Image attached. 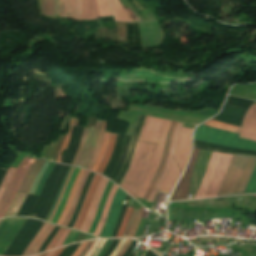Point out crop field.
<instances>
[{"instance_id":"733c2abd","label":"crop field","mask_w":256,"mask_h":256,"mask_svg":"<svg viewBox=\"0 0 256 256\" xmlns=\"http://www.w3.org/2000/svg\"><path fill=\"white\" fill-rule=\"evenodd\" d=\"M97 16V5L95 0H83L81 19H94Z\"/></svg>"},{"instance_id":"d23c7cc5","label":"crop field","mask_w":256,"mask_h":256,"mask_svg":"<svg viewBox=\"0 0 256 256\" xmlns=\"http://www.w3.org/2000/svg\"><path fill=\"white\" fill-rule=\"evenodd\" d=\"M112 240H107V242L105 243V245L102 247L101 251L99 252V254L97 256H103L104 253L107 251V249L109 248L110 244H111Z\"/></svg>"},{"instance_id":"db79e9e6","label":"crop field","mask_w":256,"mask_h":256,"mask_svg":"<svg viewBox=\"0 0 256 256\" xmlns=\"http://www.w3.org/2000/svg\"><path fill=\"white\" fill-rule=\"evenodd\" d=\"M47 253H44V254H42V255H40V256H45Z\"/></svg>"},{"instance_id":"0fb4a251","label":"crop field","mask_w":256,"mask_h":256,"mask_svg":"<svg viewBox=\"0 0 256 256\" xmlns=\"http://www.w3.org/2000/svg\"><path fill=\"white\" fill-rule=\"evenodd\" d=\"M88 242V241H87ZM87 242L82 243V245L79 247V249L75 252L73 256H78L79 253L83 250V248L86 246Z\"/></svg>"},{"instance_id":"730fd06b","label":"crop field","mask_w":256,"mask_h":256,"mask_svg":"<svg viewBox=\"0 0 256 256\" xmlns=\"http://www.w3.org/2000/svg\"><path fill=\"white\" fill-rule=\"evenodd\" d=\"M59 0H43V14L56 17Z\"/></svg>"},{"instance_id":"bd1437ed","label":"crop field","mask_w":256,"mask_h":256,"mask_svg":"<svg viewBox=\"0 0 256 256\" xmlns=\"http://www.w3.org/2000/svg\"><path fill=\"white\" fill-rule=\"evenodd\" d=\"M109 134H110V133H107V132H106L105 135H104V140H103V144H102V146H101L100 153H99V155H98V157H97V160H96V162H95V164H94V166H93V168H92V171H94V172H96V170H97V168H98V166H99V164H100L101 158H102V156H103V154H104V152H105Z\"/></svg>"},{"instance_id":"1d83c4d3","label":"crop field","mask_w":256,"mask_h":256,"mask_svg":"<svg viewBox=\"0 0 256 256\" xmlns=\"http://www.w3.org/2000/svg\"><path fill=\"white\" fill-rule=\"evenodd\" d=\"M87 131H88V129H85V128H84L80 146H79L78 151H77V153H76V156H75V158H74V160H73V162H72V164H71V165H73V166L76 165V163H77V161H78V159H79V157H80V155H81V153H82Z\"/></svg>"},{"instance_id":"d9b57169","label":"crop field","mask_w":256,"mask_h":256,"mask_svg":"<svg viewBox=\"0 0 256 256\" xmlns=\"http://www.w3.org/2000/svg\"><path fill=\"white\" fill-rule=\"evenodd\" d=\"M180 174L181 173H180V171H179L178 167L176 166V164L174 162V159H173L170 171H169L168 175L166 176V178H165V180H164L160 189L170 191L173 184L175 183V181L180 176Z\"/></svg>"},{"instance_id":"5a996713","label":"crop field","mask_w":256,"mask_h":256,"mask_svg":"<svg viewBox=\"0 0 256 256\" xmlns=\"http://www.w3.org/2000/svg\"><path fill=\"white\" fill-rule=\"evenodd\" d=\"M101 121L97 120V126L96 127H91L88 131L85 146L83 153L81 155V158L77 164L79 167L85 168L86 165L88 164L91 154L93 152V149L95 147L99 127H100Z\"/></svg>"},{"instance_id":"b54c1fbb","label":"crop field","mask_w":256,"mask_h":256,"mask_svg":"<svg viewBox=\"0 0 256 256\" xmlns=\"http://www.w3.org/2000/svg\"><path fill=\"white\" fill-rule=\"evenodd\" d=\"M109 1H110V4H111V7H112V9H113V13H114L115 20L123 21L121 15H120L119 10L117 9V7H116L115 4H114V1H113V0H109Z\"/></svg>"},{"instance_id":"1d79db26","label":"crop field","mask_w":256,"mask_h":256,"mask_svg":"<svg viewBox=\"0 0 256 256\" xmlns=\"http://www.w3.org/2000/svg\"><path fill=\"white\" fill-rule=\"evenodd\" d=\"M144 256H156L154 253H152L150 250H149V248H148V250H147V252L145 253V255Z\"/></svg>"},{"instance_id":"22f410ed","label":"crop field","mask_w":256,"mask_h":256,"mask_svg":"<svg viewBox=\"0 0 256 256\" xmlns=\"http://www.w3.org/2000/svg\"><path fill=\"white\" fill-rule=\"evenodd\" d=\"M175 125H176V122H171V125H170V128H169V132H168V136H167V140H166V144H165V148H164V152L162 154V158H161V162H160V166L145 194V197L144 199L147 200L152 188L154 187L157 179L159 178L161 172H162V169L164 167V164H165V160H166V157H167V153H168V149H169V146H170V143L172 141V135H173V132H174V128H175Z\"/></svg>"},{"instance_id":"dafd665d","label":"crop field","mask_w":256,"mask_h":256,"mask_svg":"<svg viewBox=\"0 0 256 256\" xmlns=\"http://www.w3.org/2000/svg\"><path fill=\"white\" fill-rule=\"evenodd\" d=\"M115 138H116V134H110L109 136V141H108V146H107V149H106V153L104 155V158L97 170V173H100L102 174V172L104 171L108 161H109V158H110V155L113 151V146H114V142H115Z\"/></svg>"},{"instance_id":"3316defc","label":"crop field","mask_w":256,"mask_h":256,"mask_svg":"<svg viewBox=\"0 0 256 256\" xmlns=\"http://www.w3.org/2000/svg\"><path fill=\"white\" fill-rule=\"evenodd\" d=\"M108 180L109 179L102 176V178H101V180H100V182H99V184L96 188V191H95V194H94V197H93L88 215L86 217V220H85L84 224L82 225V227L80 228L81 231L88 232V229H89V227H90V225L93 221V218H94L95 213H96V209L98 207V204L100 202V199L102 197L104 188H105Z\"/></svg>"},{"instance_id":"0765c3eb","label":"crop field","mask_w":256,"mask_h":256,"mask_svg":"<svg viewBox=\"0 0 256 256\" xmlns=\"http://www.w3.org/2000/svg\"><path fill=\"white\" fill-rule=\"evenodd\" d=\"M136 253L135 252H132L129 256H135Z\"/></svg>"},{"instance_id":"5142ce71","label":"crop field","mask_w":256,"mask_h":256,"mask_svg":"<svg viewBox=\"0 0 256 256\" xmlns=\"http://www.w3.org/2000/svg\"><path fill=\"white\" fill-rule=\"evenodd\" d=\"M100 177H101L100 175H97V174L95 175V177H94V179H93V181H92V183H91V185L89 187L87 195L85 197V200L83 202L81 210L79 212L77 221H76L75 225L73 226V229H77V230L79 229V227H80V225H81V223H82V221H83V219H84V217L86 215V212H87L88 207H89V203L91 201V198L93 196V193H94L95 188H96V186H97V184L99 182Z\"/></svg>"},{"instance_id":"92a150f3","label":"crop field","mask_w":256,"mask_h":256,"mask_svg":"<svg viewBox=\"0 0 256 256\" xmlns=\"http://www.w3.org/2000/svg\"><path fill=\"white\" fill-rule=\"evenodd\" d=\"M75 0H60L57 16L72 18Z\"/></svg>"},{"instance_id":"cbeb9de0","label":"crop field","mask_w":256,"mask_h":256,"mask_svg":"<svg viewBox=\"0 0 256 256\" xmlns=\"http://www.w3.org/2000/svg\"><path fill=\"white\" fill-rule=\"evenodd\" d=\"M54 228V225H50L45 223L39 233L35 236L33 241L30 243L28 248L26 249L24 255L37 253L38 249L40 248L41 244L44 242V240L47 238L51 230Z\"/></svg>"},{"instance_id":"c21b1889","label":"crop field","mask_w":256,"mask_h":256,"mask_svg":"<svg viewBox=\"0 0 256 256\" xmlns=\"http://www.w3.org/2000/svg\"><path fill=\"white\" fill-rule=\"evenodd\" d=\"M72 120H73V118H71L69 134H67V136H66V138H65V140H64V143H63L61 149L59 150V156H58V159H57V161H56V162H58V163H60V152H61L62 150H65L66 147H67V145H68V141H69V137H70V132H71V126H72Z\"/></svg>"},{"instance_id":"5866460e","label":"crop field","mask_w":256,"mask_h":256,"mask_svg":"<svg viewBox=\"0 0 256 256\" xmlns=\"http://www.w3.org/2000/svg\"><path fill=\"white\" fill-rule=\"evenodd\" d=\"M144 209L145 208L140 207L139 212L137 214V217L135 219L134 225H133L132 230H131V232H130L128 237H133L134 236V234L136 232V229H137V227L139 225V222H140V219H141V216H142V213H143Z\"/></svg>"},{"instance_id":"120bbe31","label":"crop field","mask_w":256,"mask_h":256,"mask_svg":"<svg viewBox=\"0 0 256 256\" xmlns=\"http://www.w3.org/2000/svg\"><path fill=\"white\" fill-rule=\"evenodd\" d=\"M132 208L130 207H127L126 211H125V214L123 216V219H122V222H121V225H120V228H119V231H118V234L116 237H121L122 236V233L124 231V228H125V225H126V222L128 220V217L130 215V212H131Z\"/></svg>"},{"instance_id":"214f88e0","label":"crop field","mask_w":256,"mask_h":256,"mask_svg":"<svg viewBox=\"0 0 256 256\" xmlns=\"http://www.w3.org/2000/svg\"><path fill=\"white\" fill-rule=\"evenodd\" d=\"M88 174H89V171L86 170V171L84 172L82 178H81V181H80V183H79V185H78V188H77V191H76V193H75L73 202H72V204H71L70 210H69V212H68L66 218L64 219V221H63V223H62V226H65V227L67 226V224H68V222H69V220H70V218H71V216H72V213H73V211H74V208H75V206H76V203H77V201H78L79 195H80V193H81L82 186H83V184H84V182H85V180H86Z\"/></svg>"},{"instance_id":"4177f3b9","label":"crop field","mask_w":256,"mask_h":256,"mask_svg":"<svg viewBox=\"0 0 256 256\" xmlns=\"http://www.w3.org/2000/svg\"><path fill=\"white\" fill-rule=\"evenodd\" d=\"M106 123H107V121H103L102 122V125H101V128H100V133H99V138H98L97 144H96V148H95V150H94V152L92 154V158H91V160H90V162H89V164H88V166L86 168L88 170H91V168H92V166H93V164L95 162L96 156H97V154L99 152L100 146L102 144L103 134H104V131L106 129Z\"/></svg>"},{"instance_id":"89e229c0","label":"crop field","mask_w":256,"mask_h":256,"mask_svg":"<svg viewBox=\"0 0 256 256\" xmlns=\"http://www.w3.org/2000/svg\"><path fill=\"white\" fill-rule=\"evenodd\" d=\"M94 240L89 241V243L87 244V246L84 248V250L80 253L79 256H84L85 253L87 252V250L90 248V246L93 244Z\"/></svg>"},{"instance_id":"0bd39190","label":"crop field","mask_w":256,"mask_h":256,"mask_svg":"<svg viewBox=\"0 0 256 256\" xmlns=\"http://www.w3.org/2000/svg\"><path fill=\"white\" fill-rule=\"evenodd\" d=\"M116 5L118 6L123 18L125 21H133L128 12L124 9V7L120 4L119 0H114Z\"/></svg>"},{"instance_id":"e1f06a70","label":"crop field","mask_w":256,"mask_h":256,"mask_svg":"<svg viewBox=\"0 0 256 256\" xmlns=\"http://www.w3.org/2000/svg\"><path fill=\"white\" fill-rule=\"evenodd\" d=\"M14 171H15V168H10L9 169V171H8V173H7L5 179H4V181H3V183H2V185L0 187V198H1V196H2V194L4 192V190H5V188H6L7 184H8V182H9L12 174L14 173Z\"/></svg>"},{"instance_id":"28ad6ade","label":"crop field","mask_w":256,"mask_h":256,"mask_svg":"<svg viewBox=\"0 0 256 256\" xmlns=\"http://www.w3.org/2000/svg\"><path fill=\"white\" fill-rule=\"evenodd\" d=\"M198 151H199V149H197V148L193 149L191 161H190L184 175L182 176L178 186L176 187V189L171 197V200L186 198L188 186H189V182H190L191 170L194 166L196 155H197Z\"/></svg>"},{"instance_id":"34b2d1b8","label":"crop field","mask_w":256,"mask_h":256,"mask_svg":"<svg viewBox=\"0 0 256 256\" xmlns=\"http://www.w3.org/2000/svg\"><path fill=\"white\" fill-rule=\"evenodd\" d=\"M170 122L171 121L148 117V116H146L145 118L144 125L142 127V131L138 140L148 141L152 143H159V147H158L156 159L154 161L153 169L138 195L141 198H143L145 191L157 170L163 144L165 141V137H166Z\"/></svg>"},{"instance_id":"ac0d7876","label":"crop field","mask_w":256,"mask_h":256,"mask_svg":"<svg viewBox=\"0 0 256 256\" xmlns=\"http://www.w3.org/2000/svg\"><path fill=\"white\" fill-rule=\"evenodd\" d=\"M256 165V157L234 154L217 196L243 193Z\"/></svg>"},{"instance_id":"9d1cf04e","label":"crop field","mask_w":256,"mask_h":256,"mask_svg":"<svg viewBox=\"0 0 256 256\" xmlns=\"http://www.w3.org/2000/svg\"><path fill=\"white\" fill-rule=\"evenodd\" d=\"M64 248L58 249L57 252L54 254V256H58L63 251Z\"/></svg>"},{"instance_id":"e52e79f7","label":"crop field","mask_w":256,"mask_h":256,"mask_svg":"<svg viewBox=\"0 0 256 256\" xmlns=\"http://www.w3.org/2000/svg\"><path fill=\"white\" fill-rule=\"evenodd\" d=\"M240 138L256 142V104L247 110L240 131Z\"/></svg>"},{"instance_id":"750c4746","label":"crop field","mask_w":256,"mask_h":256,"mask_svg":"<svg viewBox=\"0 0 256 256\" xmlns=\"http://www.w3.org/2000/svg\"><path fill=\"white\" fill-rule=\"evenodd\" d=\"M99 17L112 14L107 0H97Z\"/></svg>"},{"instance_id":"f4fd0767","label":"crop field","mask_w":256,"mask_h":256,"mask_svg":"<svg viewBox=\"0 0 256 256\" xmlns=\"http://www.w3.org/2000/svg\"><path fill=\"white\" fill-rule=\"evenodd\" d=\"M25 218L5 219L0 222V255H3L9 244L22 226Z\"/></svg>"},{"instance_id":"d8731c3e","label":"crop field","mask_w":256,"mask_h":256,"mask_svg":"<svg viewBox=\"0 0 256 256\" xmlns=\"http://www.w3.org/2000/svg\"><path fill=\"white\" fill-rule=\"evenodd\" d=\"M222 155L223 154H221V153H215V152L212 153L211 159H210L208 167H207L205 177L200 185V188H199L195 198L205 196L208 186L217 171V168L220 163Z\"/></svg>"},{"instance_id":"eef30255","label":"crop field","mask_w":256,"mask_h":256,"mask_svg":"<svg viewBox=\"0 0 256 256\" xmlns=\"http://www.w3.org/2000/svg\"><path fill=\"white\" fill-rule=\"evenodd\" d=\"M112 184H113V183L109 180V182H108V184H107V186H106V188H105V192H104V195H103V197H102V200H101L99 209H98V211H97L95 220H94V222L92 223V226H91V228H90V230H89V232H88V233H90V234L93 233V231H94V229H95V227H96V225H97V222H98V219H99V217H100V214H101L103 205H104V203H105L106 197H107V195H108V192H109V190H110Z\"/></svg>"},{"instance_id":"028f5c9d","label":"crop field","mask_w":256,"mask_h":256,"mask_svg":"<svg viewBox=\"0 0 256 256\" xmlns=\"http://www.w3.org/2000/svg\"><path fill=\"white\" fill-rule=\"evenodd\" d=\"M138 210L133 209L122 237H127Z\"/></svg>"},{"instance_id":"d32e631a","label":"crop field","mask_w":256,"mask_h":256,"mask_svg":"<svg viewBox=\"0 0 256 256\" xmlns=\"http://www.w3.org/2000/svg\"><path fill=\"white\" fill-rule=\"evenodd\" d=\"M53 166H54L53 163H50V164H49V166L47 167V169H46V171H45V173H44V175H43V177H42V179H41V181H40V183H39V185H38V187H37V189H36V191H35L34 194H37V195L40 194L42 185H43V183H44L46 177L48 176V174L51 172Z\"/></svg>"},{"instance_id":"73cf0c24","label":"crop field","mask_w":256,"mask_h":256,"mask_svg":"<svg viewBox=\"0 0 256 256\" xmlns=\"http://www.w3.org/2000/svg\"><path fill=\"white\" fill-rule=\"evenodd\" d=\"M105 242H106V240H101L99 245H98V247H97V249L93 252V254L91 256H96Z\"/></svg>"},{"instance_id":"425ffa30","label":"crop field","mask_w":256,"mask_h":256,"mask_svg":"<svg viewBox=\"0 0 256 256\" xmlns=\"http://www.w3.org/2000/svg\"><path fill=\"white\" fill-rule=\"evenodd\" d=\"M69 232H70V230L66 229L65 233L63 234V236L60 238V240L57 242V244L54 247L62 245L63 241L65 240V238L67 237Z\"/></svg>"},{"instance_id":"d1516ede","label":"crop field","mask_w":256,"mask_h":256,"mask_svg":"<svg viewBox=\"0 0 256 256\" xmlns=\"http://www.w3.org/2000/svg\"><path fill=\"white\" fill-rule=\"evenodd\" d=\"M232 156L233 155H228V154L223 155V158L221 160L218 171H217L214 179L212 180L205 197H211V196H216L217 195V192L220 188V185L222 183V180L224 178V175L226 173V170L228 168V165L230 163V160H231Z\"/></svg>"},{"instance_id":"447ae74e","label":"crop field","mask_w":256,"mask_h":256,"mask_svg":"<svg viewBox=\"0 0 256 256\" xmlns=\"http://www.w3.org/2000/svg\"><path fill=\"white\" fill-rule=\"evenodd\" d=\"M55 251H56V250H53V251L48 252L47 256H52Z\"/></svg>"},{"instance_id":"00972430","label":"crop field","mask_w":256,"mask_h":256,"mask_svg":"<svg viewBox=\"0 0 256 256\" xmlns=\"http://www.w3.org/2000/svg\"><path fill=\"white\" fill-rule=\"evenodd\" d=\"M78 171H79V169L76 168L74 173H73V175H72V177H71V179H70V181H69V184H68V186H67V188L65 190L64 197H63V199L61 201V204H60V206H59V208H58V210H57V212H56V214H55V216H54V218L52 220V223H54V224L56 223L57 219L59 218V216L61 214V211H62V209H63V207L65 205L66 199L68 197V194L70 192V189H71V187L73 185V182L75 180V177H76Z\"/></svg>"},{"instance_id":"412701ff","label":"crop field","mask_w":256,"mask_h":256,"mask_svg":"<svg viewBox=\"0 0 256 256\" xmlns=\"http://www.w3.org/2000/svg\"><path fill=\"white\" fill-rule=\"evenodd\" d=\"M34 160L25 158L19 165L18 169L14 173L10 180L1 200H0V218L4 217L23 177L25 176L30 164ZM17 194V193H16ZM16 196V195H15Z\"/></svg>"},{"instance_id":"c035e120","label":"crop field","mask_w":256,"mask_h":256,"mask_svg":"<svg viewBox=\"0 0 256 256\" xmlns=\"http://www.w3.org/2000/svg\"><path fill=\"white\" fill-rule=\"evenodd\" d=\"M181 126H182V124L178 123L177 126H176V129H175V133H174V137H173V141H172V145H171V149H172L173 154H174V150H175V147H176V143H177V140H178V136H179Z\"/></svg>"},{"instance_id":"25e5ab78","label":"crop field","mask_w":256,"mask_h":256,"mask_svg":"<svg viewBox=\"0 0 256 256\" xmlns=\"http://www.w3.org/2000/svg\"><path fill=\"white\" fill-rule=\"evenodd\" d=\"M73 170H74V168H73ZM73 170H72V172H73ZM72 172H71V174H72ZM71 174H70V176H71ZM70 176H69V178H70ZM69 178H68V180H69ZM68 180H67V182H68ZM67 182H66V184H65V186H64V188H63V190H62V192H61L60 198H59L58 203H57V205H56V207H55V209H54V211H53V213H52V215H51V217H50V219H49V222L51 221V219H52V217H53V215H54V212H55V210H56V208H57V206H58V204H59V202H60V200H61V197H62L63 192H64V190H65V187H66V185H67Z\"/></svg>"},{"instance_id":"dbb93151","label":"crop field","mask_w":256,"mask_h":256,"mask_svg":"<svg viewBox=\"0 0 256 256\" xmlns=\"http://www.w3.org/2000/svg\"><path fill=\"white\" fill-rule=\"evenodd\" d=\"M99 240L94 242V244L91 246V248L89 249V251L87 252L86 256H90L91 253L93 252V250L95 249V247L97 246Z\"/></svg>"},{"instance_id":"03da06ac","label":"crop field","mask_w":256,"mask_h":256,"mask_svg":"<svg viewBox=\"0 0 256 256\" xmlns=\"http://www.w3.org/2000/svg\"><path fill=\"white\" fill-rule=\"evenodd\" d=\"M64 231H65V228L61 227V229L59 230L57 235L54 237V239L51 241V243L48 245L46 250L53 248V246L56 244V242L58 241V239L60 238V236L63 234Z\"/></svg>"},{"instance_id":"5d738f31","label":"crop field","mask_w":256,"mask_h":256,"mask_svg":"<svg viewBox=\"0 0 256 256\" xmlns=\"http://www.w3.org/2000/svg\"><path fill=\"white\" fill-rule=\"evenodd\" d=\"M126 240H120V242L117 244L116 248L114 249V251L112 252V254L110 256H116L119 251L121 250V248L123 247L124 243Z\"/></svg>"},{"instance_id":"8a807250","label":"crop field","mask_w":256,"mask_h":256,"mask_svg":"<svg viewBox=\"0 0 256 256\" xmlns=\"http://www.w3.org/2000/svg\"><path fill=\"white\" fill-rule=\"evenodd\" d=\"M157 146H158V144H154V150L152 152V157L150 160V164L147 168V171H146L141 183L137 187L134 195H132L139 180L141 179V177L147 167V164L150 159L152 147H153V144H151V143H145V142H140V141L137 142L135 154H134V158L131 163V166H130L127 174L125 175L123 181L120 184V187L123 188L127 193H129L134 198H136L137 194L139 193L141 187L143 186V184L149 174L150 169L152 168L153 161L155 159Z\"/></svg>"},{"instance_id":"d3111659","label":"crop field","mask_w":256,"mask_h":256,"mask_svg":"<svg viewBox=\"0 0 256 256\" xmlns=\"http://www.w3.org/2000/svg\"><path fill=\"white\" fill-rule=\"evenodd\" d=\"M204 125H208V126L219 128V129L228 130V131L235 132V133H238V134H239V131H240L239 127H235V126H232V125L220 123V122L213 121V120H210V121L206 122Z\"/></svg>"},{"instance_id":"dd49c442","label":"crop field","mask_w":256,"mask_h":256,"mask_svg":"<svg viewBox=\"0 0 256 256\" xmlns=\"http://www.w3.org/2000/svg\"><path fill=\"white\" fill-rule=\"evenodd\" d=\"M191 132L192 129L182 128L175 150L174 158L181 171L188 160L191 146Z\"/></svg>"},{"instance_id":"b80d0937","label":"crop field","mask_w":256,"mask_h":256,"mask_svg":"<svg viewBox=\"0 0 256 256\" xmlns=\"http://www.w3.org/2000/svg\"><path fill=\"white\" fill-rule=\"evenodd\" d=\"M81 5H82V0H76L75 4V10H74V20H80V14H81Z\"/></svg>"},{"instance_id":"1f2cbd36","label":"crop field","mask_w":256,"mask_h":256,"mask_svg":"<svg viewBox=\"0 0 256 256\" xmlns=\"http://www.w3.org/2000/svg\"><path fill=\"white\" fill-rule=\"evenodd\" d=\"M131 242V240H127L124 247L122 248V250L120 251V253L117 256H122V254L124 253V251L127 249L129 243ZM131 244V243H130Z\"/></svg>"},{"instance_id":"bc2a9ffb","label":"crop field","mask_w":256,"mask_h":256,"mask_svg":"<svg viewBox=\"0 0 256 256\" xmlns=\"http://www.w3.org/2000/svg\"><path fill=\"white\" fill-rule=\"evenodd\" d=\"M117 188L118 187L116 185H113V187H112V189H111V191H110V193L107 197L106 203L104 205V210H103V213L101 215V220H100V222H99V224H98V226H97V228L94 232V235H96V236H99V234H100V232L103 228V225H104L106 217H107L108 209L110 207L111 200H112L113 195H114Z\"/></svg>"},{"instance_id":"4a817a6b","label":"crop field","mask_w":256,"mask_h":256,"mask_svg":"<svg viewBox=\"0 0 256 256\" xmlns=\"http://www.w3.org/2000/svg\"><path fill=\"white\" fill-rule=\"evenodd\" d=\"M38 161H39V160H35L34 163L31 165V167H30L28 173L26 174V176H25L23 182L21 183V185H20L18 191L25 192V193L28 192V190H29V188H30V186H31V184H32V182H33V180H34V178L36 177V175H37L38 171L40 170L41 166L43 165V163L45 162V161H41V162L39 163L38 167L36 168V170L34 171V173L32 174V172H33V170L35 169V167H36ZM31 174H32V176L30 177ZM29 177H30V179H29ZM28 179H29V180H28ZM27 180H28V182H27V184H26L24 190L22 191V189H23V187H24V185H25V183H26Z\"/></svg>"},{"instance_id":"a9b5d70f","label":"crop field","mask_w":256,"mask_h":256,"mask_svg":"<svg viewBox=\"0 0 256 256\" xmlns=\"http://www.w3.org/2000/svg\"><path fill=\"white\" fill-rule=\"evenodd\" d=\"M171 160H172V155H171V151L169 150V154H168V157H167V160H166L165 168H164L160 178L158 179V181H157V183H156L148 201H150V202L153 201V199H154V197H155V195H156V193H157V191H158V189H159V187H160V185H161V183H162V181H163V179H164V177H165V175L168 171Z\"/></svg>"},{"instance_id":"ae1a2a85","label":"crop field","mask_w":256,"mask_h":256,"mask_svg":"<svg viewBox=\"0 0 256 256\" xmlns=\"http://www.w3.org/2000/svg\"><path fill=\"white\" fill-rule=\"evenodd\" d=\"M83 171H84V170L81 169V171H80V173H79V175H78V177H77V179H76V181H75V183H74V185H73V187H72L71 193H70L69 198H68V201H67V203H66V206H65V208H64V210H63V212H62V214H61V216H60V218H59V220H58V222H57L58 225L61 224V222H62L64 216L66 215V213H67V211H68V209H69V207H70V203H71L73 194H74V192H75V190H76V187H77V185H78V183H79V180H80V178H81V175H82Z\"/></svg>"}]
</instances>
